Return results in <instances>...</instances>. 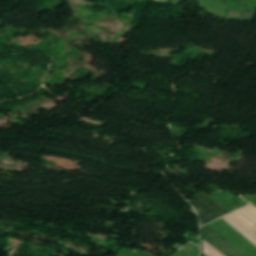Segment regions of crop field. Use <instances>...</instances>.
<instances>
[{
	"label": "crop field",
	"mask_w": 256,
	"mask_h": 256,
	"mask_svg": "<svg viewBox=\"0 0 256 256\" xmlns=\"http://www.w3.org/2000/svg\"><path fill=\"white\" fill-rule=\"evenodd\" d=\"M136 252H138V253H140V254H142V255H144V256H154V255H151V254L142 252V251H140V250H138V249H136Z\"/></svg>",
	"instance_id": "crop-field-8"
},
{
	"label": "crop field",
	"mask_w": 256,
	"mask_h": 256,
	"mask_svg": "<svg viewBox=\"0 0 256 256\" xmlns=\"http://www.w3.org/2000/svg\"><path fill=\"white\" fill-rule=\"evenodd\" d=\"M230 224L256 244V225L239 211L224 217Z\"/></svg>",
	"instance_id": "crop-field-3"
},
{
	"label": "crop field",
	"mask_w": 256,
	"mask_h": 256,
	"mask_svg": "<svg viewBox=\"0 0 256 256\" xmlns=\"http://www.w3.org/2000/svg\"><path fill=\"white\" fill-rule=\"evenodd\" d=\"M230 1H236V2H241V0H230Z\"/></svg>",
	"instance_id": "crop-field-9"
},
{
	"label": "crop field",
	"mask_w": 256,
	"mask_h": 256,
	"mask_svg": "<svg viewBox=\"0 0 256 256\" xmlns=\"http://www.w3.org/2000/svg\"><path fill=\"white\" fill-rule=\"evenodd\" d=\"M201 238L224 256H245L207 226L201 228Z\"/></svg>",
	"instance_id": "crop-field-2"
},
{
	"label": "crop field",
	"mask_w": 256,
	"mask_h": 256,
	"mask_svg": "<svg viewBox=\"0 0 256 256\" xmlns=\"http://www.w3.org/2000/svg\"><path fill=\"white\" fill-rule=\"evenodd\" d=\"M203 247H204V254L207 256H223L218 251H216L214 248H212L210 245H208L206 242L203 241Z\"/></svg>",
	"instance_id": "crop-field-7"
},
{
	"label": "crop field",
	"mask_w": 256,
	"mask_h": 256,
	"mask_svg": "<svg viewBox=\"0 0 256 256\" xmlns=\"http://www.w3.org/2000/svg\"><path fill=\"white\" fill-rule=\"evenodd\" d=\"M256 12L253 11H241L237 20L252 22Z\"/></svg>",
	"instance_id": "crop-field-6"
},
{
	"label": "crop field",
	"mask_w": 256,
	"mask_h": 256,
	"mask_svg": "<svg viewBox=\"0 0 256 256\" xmlns=\"http://www.w3.org/2000/svg\"><path fill=\"white\" fill-rule=\"evenodd\" d=\"M240 211L256 224V208L255 207L250 205Z\"/></svg>",
	"instance_id": "crop-field-5"
},
{
	"label": "crop field",
	"mask_w": 256,
	"mask_h": 256,
	"mask_svg": "<svg viewBox=\"0 0 256 256\" xmlns=\"http://www.w3.org/2000/svg\"><path fill=\"white\" fill-rule=\"evenodd\" d=\"M189 202L197 210L201 226L230 213L202 192Z\"/></svg>",
	"instance_id": "crop-field-1"
},
{
	"label": "crop field",
	"mask_w": 256,
	"mask_h": 256,
	"mask_svg": "<svg viewBox=\"0 0 256 256\" xmlns=\"http://www.w3.org/2000/svg\"><path fill=\"white\" fill-rule=\"evenodd\" d=\"M209 197L214 199L216 202H218L219 204H221L231 212L249 205L243 199L237 197L236 195L232 194L229 191L225 193L224 192L215 193Z\"/></svg>",
	"instance_id": "crop-field-4"
}]
</instances>
